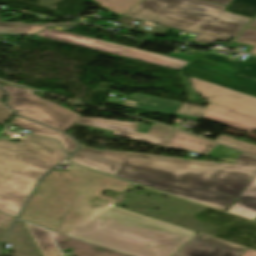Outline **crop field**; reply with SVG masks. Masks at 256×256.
<instances>
[{
    "mask_svg": "<svg viewBox=\"0 0 256 256\" xmlns=\"http://www.w3.org/2000/svg\"><path fill=\"white\" fill-rule=\"evenodd\" d=\"M14 219V217L0 213V229L8 231Z\"/></svg>",
    "mask_w": 256,
    "mask_h": 256,
    "instance_id": "crop-field-25",
    "label": "crop field"
},
{
    "mask_svg": "<svg viewBox=\"0 0 256 256\" xmlns=\"http://www.w3.org/2000/svg\"><path fill=\"white\" fill-rule=\"evenodd\" d=\"M180 72L256 97V79L237 75L256 78L255 57L240 62L204 53Z\"/></svg>",
    "mask_w": 256,
    "mask_h": 256,
    "instance_id": "crop-field-7",
    "label": "crop field"
},
{
    "mask_svg": "<svg viewBox=\"0 0 256 256\" xmlns=\"http://www.w3.org/2000/svg\"><path fill=\"white\" fill-rule=\"evenodd\" d=\"M239 154L240 152L219 145L209 154V156L221 159V155H224L236 159Z\"/></svg>",
    "mask_w": 256,
    "mask_h": 256,
    "instance_id": "crop-field-22",
    "label": "crop field"
},
{
    "mask_svg": "<svg viewBox=\"0 0 256 256\" xmlns=\"http://www.w3.org/2000/svg\"><path fill=\"white\" fill-rule=\"evenodd\" d=\"M225 8L201 0H144L125 15L196 33L194 40L212 44L235 37L252 19Z\"/></svg>",
    "mask_w": 256,
    "mask_h": 256,
    "instance_id": "crop-field-5",
    "label": "crop field"
},
{
    "mask_svg": "<svg viewBox=\"0 0 256 256\" xmlns=\"http://www.w3.org/2000/svg\"><path fill=\"white\" fill-rule=\"evenodd\" d=\"M131 185L77 166L67 172L53 170L41 180L19 218L68 235L115 201L99 195L102 191L125 192Z\"/></svg>",
    "mask_w": 256,
    "mask_h": 256,
    "instance_id": "crop-field-2",
    "label": "crop field"
},
{
    "mask_svg": "<svg viewBox=\"0 0 256 256\" xmlns=\"http://www.w3.org/2000/svg\"><path fill=\"white\" fill-rule=\"evenodd\" d=\"M35 36L64 41V42H68V43H72V44H77V45L101 50L104 52L120 55L123 57L169 67V68L176 69V70L180 69L186 63H188L187 61L166 57L163 55H157V54H153V53H149V52H145V51H141V50L126 48V47H120V49L117 50V49H114V48H111V47H108L105 45L86 41L79 37L70 36L63 32L54 30V29H49V30L42 32L40 34H37Z\"/></svg>",
    "mask_w": 256,
    "mask_h": 256,
    "instance_id": "crop-field-9",
    "label": "crop field"
},
{
    "mask_svg": "<svg viewBox=\"0 0 256 256\" xmlns=\"http://www.w3.org/2000/svg\"><path fill=\"white\" fill-rule=\"evenodd\" d=\"M44 256H60L48 232L40 227L27 224Z\"/></svg>",
    "mask_w": 256,
    "mask_h": 256,
    "instance_id": "crop-field-14",
    "label": "crop field"
},
{
    "mask_svg": "<svg viewBox=\"0 0 256 256\" xmlns=\"http://www.w3.org/2000/svg\"><path fill=\"white\" fill-rule=\"evenodd\" d=\"M228 212L256 220V202L238 199Z\"/></svg>",
    "mask_w": 256,
    "mask_h": 256,
    "instance_id": "crop-field-17",
    "label": "crop field"
},
{
    "mask_svg": "<svg viewBox=\"0 0 256 256\" xmlns=\"http://www.w3.org/2000/svg\"><path fill=\"white\" fill-rule=\"evenodd\" d=\"M67 34H69V33H67ZM70 35H73V34H70ZM75 36H77V35H75ZM79 37H81V36H79ZM81 38H84V39L90 40V41H94V42H98V43H101V44H105V45H108V46H111V47H114V48H117V49H119V47H120V46H117V45H113V44H109V43H105V42H101V41H97V40H93V39H89V38H85V37H81Z\"/></svg>",
    "mask_w": 256,
    "mask_h": 256,
    "instance_id": "crop-field-28",
    "label": "crop field"
},
{
    "mask_svg": "<svg viewBox=\"0 0 256 256\" xmlns=\"http://www.w3.org/2000/svg\"><path fill=\"white\" fill-rule=\"evenodd\" d=\"M194 88L205 96L211 105L204 119L247 132L256 131V98L194 77Z\"/></svg>",
    "mask_w": 256,
    "mask_h": 256,
    "instance_id": "crop-field-6",
    "label": "crop field"
},
{
    "mask_svg": "<svg viewBox=\"0 0 256 256\" xmlns=\"http://www.w3.org/2000/svg\"><path fill=\"white\" fill-rule=\"evenodd\" d=\"M11 123L32 131L31 134L33 135L47 136L58 139L68 154L73 152L77 147V143L70 137L21 117L16 116Z\"/></svg>",
    "mask_w": 256,
    "mask_h": 256,
    "instance_id": "crop-field-13",
    "label": "crop field"
},
{
    "mask_svg": "<svg viewBox=\"0 0 256 256\" xmlns=\"http://www.w3.org/2000/svg\"><path fill=\"white\" fill-rule=\"evenodd\" d=\"M235 42L255 46L250 53L256 54V29L246 28Z\"/></svg>",
    "mask_w": 256,
    "mask_h": 256,
    "instance_id": "crop-field-20",
    "label": "crop field"
},
{
    "mask_svg": "<svg viewBox=\"0 0 256 256\" xmlns=\"http://www.w3.org/2000/svg\"><path fill=\"white\" fill-rule=\"evenodd\" d=\"M174 131V129L164 127L159 124H153V126L148 131V134L156 135L159 137L167 138L169 139L171 133Z\"/></svg>",
    "mask_w": 256,
    "mask_h": 256,
    "instance_id": "crop-field-23",
    "label": "crop field"
},
{
    "mask_svg": "<svg viewBox=\"0 0 256 256\" xmlns=\"http://www.w3.org/2000/svg\"><path fill=\"white\" fill-rule=\"evenodd\" d=\"M49 25L50 24H25L23 22L2 23L0 21V32L32 34L46 28Z\"/></svg>",
    "mask_w": 256,
    "mask_h": 256,
    "instance_id": "crop-field-15",
    "label": "crop field"
},
{
    "mask_svg": "<svg viewBox=\"0 0 256 256\" xmlns=\"http://www.w3.org/2000/svg\"><path fill=\"white\" fill-rule=\"evenodd\" d=\"M226 10L254 18L256 16V0H233Z\"/></svg>",
    "mask_w": 256,
    "mask_h": 256,
    "instance_id": "crop-field-18",
    "label": "crop field"
},
{
    "mask_svg": "<svg viewBox=\"0 0 256 256\" xmlns=\"http://www.w3.org/2000/svg\"><path fill=\"white\" fill-rule=\"evenodd\" d=\"M216 143L175 130L164 147L206 154Z\"/></svg>",
    "mask_w": 256,
    "mask_h": 256,
    "instance_id": "crop-field-12",
    "label": "crop field"
},
{
    "mask_svg": "<svg viewBox=\"0 0 256 256\" xmlns=\"http://www.w3.org/2000/svg\"><path fill=\"white\" fill-rule=\"evenodd\" d=\"M196 234L111 205L69 236L133 256H172Z\"/></svg>",
    "mask_w": 256,
    "mask_h": 256,
    "instance_id": "crop-field-3",
    "label": "crop field"
},
{
    "mask_svg": "<svg viewBox=\"0 0 256 256\" xmlns=\"http://www.w3.org/2000/svg\"><path fill=\"white\" fill-rule=\"evenodd\" d=\"M240 198L256 201V179L251 183Z\"/></svg>",
    "mask_w": 256,
    "mask_h": 256,
    "instance_id": "crop-field-24",
    "label": "crop field"
},
{
    "mask_svg": "<svg viewBox=\"0 0 256 256\" xmlns=\"http://www.w3.org/2000/svg\"><path fill=\"white\" fill-rule=\"evenodd\" d=\"M11 95L9 105L20 115L63 132L69 130L80 118V115L59 105L48 102L34 94L33 91L4 86Z\"/></svg>",
    "mask_w": 256,
    "mask_h": 256,
    "instance_id": "crop-field-8",
    "label": "crop field"
},
{
    "mask_svg": "<svg viewBox=\"0 0 256 256\" xmlns=\"http://www.w3.org/2000/svg\"><path fill=\"white\" fill-rule=\"evenodd\" d=\"M206 108L195 106V105H189V104H183L176 113L188 115V116H198L201 117V115L204 113Z\"/></svg>",
    "mask_w": 256,
    "mask_h": 256,
    "instance_id": "crop-field-21",
    "label": "crop field"
},
{
    "mask_svg": "<svg viewBox=\"0 0 256 256\" xmlns=\"http://www.w3.org/2000/svg\"><path fill=\"white\" fill-rule=\"evenodd\" d=\"M68 161L225 211L256 177V157L232 165L81 146Z\"/></svg>",
    "mask_w": 256,
    "mask_h": 256,
    "instance_id": "crop-field-1",
    "label": "crop field"
},
{
    "mask_svg": "<svg viewBox=\"0 0 256 256\" xmlns=\"http://www.w3.org/2000/svg\"><path fill=\"white\" fill-rule=\"evenodd\" d=\"M248 27H254V28H256V20H255L253 23H251Z\"/></svg>",
    "mask_w": 256,
    "mask_h": 256,
    "instance_id": "crop-field-30",
    "label": "crop field"
},
{
    "mask_svg": "<svg viewBox=\"0 0 256 256\" xmlns=\"http://www.w3.org/2000/svg\"><path fill=\"white\" fill-rule=\"evenodd\" d=\"M216 141H218L222 144H225V145H228V146H231V147H234V148H237V149H240V150H243V151H246L248 153L256 155V146L249 145V144H246V143H242L238 140L231 139V138H229L227 136H224V135L220 136L218 139H216Z\"/></svg>",
    "mask_w": 256,
    "mask_h": 256,
    "instance_id": "crop-field-19",
    "label": "crop field"
},
{
    "mask_svg": "<svg viewBox=\"0 0 256 256\" xmlns=\"http://www.w3.org/2000/svg\"><path fill=\"white\" fill-rule=\"evenodd\" d=\"M77 123L95 126V127L113 129V130H116L114 132V135H118L121 137L133 139V140L148 142L152 144H157L161 146H163L164 143L167 141V139L136 132L137 130L136 123L111 121V120H105L101 118L92 119V118H86V117L80 118Z\"/></svg>",
    "mask_w": 256,
    "mask_h": 256,
    "instance_id": "crop-field-11",
    "label": "crop field"
},
{
    "mask_svg": "<svg viewBox=\"0 0 256 256\" xmlns=\"http://www.w3.org/2000/svg\"><path fill=\"white\" fill-rule=\"evenodd\" d=\"M203 52H197L196 55L194 56H185V55H180V54H170L169 56L171 57H176V58H180V59H184V60H188V61H192L195 58H197L199 55H201Z\"/></svg>",
    "mask_w": 256,
    "mask_h": 256,
    "instance_id": "crop-field-26",
    "label": "crop field"
},
{
    "mask_svg": "<svg viewBox=\"0 0 256 256\" xmlns=\"http://www.w3.org/2000/svg\"><path fill=\"white\" fill-rule=\"evenodd\" d=\"M241 256H256V250L247 248Z\"/></svg>",
    "mask_w": 256,
    "mask_h": 256,
    "instance_id": "crop-field-29",
    "label": "crop field"
},
{
    "mask_svg": "<svg viewBox=\"0 0 256 256\" xmlns=\"http://www.w3.org/2000/svg\"><path fill=\"white\" fill-rule=\"evenodd\" d=\"M205 1H209V2H213V3L228 6L231 3L232 0H205Z\"/></svg>",
    "mask_w": 256,
    "mask_h": 256,
    "instance_id": "crop-field-27",
    "label": "crop field"
},
{
    "mask_svg": "<svg viewBox=\"0 0 256 256\" xmlns=\"http://www.w3.org/2000/svg\"><path fill=\"white\" fill-rule=\"evenodd\" d=\"M100 6L121 16L138 5L143 0H95Z\"/></svg>",
    "mask_w": 256,
    "mask_h": 256,
    "instance_id": "crop-field-16",
    "label": "crop field"
},
{
    "mask_svg": "<svg viewBox=\"0 0 256 256\" xmlns=\"http://www.w3.org/2000/svg\"><path fill=\"white\" fill-rule=\"evenodd\" d=\"M4 96L0 90V99ZM13 115L0 100V123ZM65 158L56 141L27 136L0 140V212L16 217L37 180Z\"/></svg>",
    "mask_w": 256,
    "mask_h": 256,
    "instance_id": "crop-field-4",
    "label": "crop field"
},
{
    "mask_svg": "<svg viewBox=\"0 0 256 256\" xmlns=\"http://www.w3.org/2000/svg\"><path fill=\"white\" fill-rule=\"evenodd\" d=\"M245 249L246 247L200 233L174 256H240Z\"/></svg>",
    "mask_w": 256,
    "mask_h": 256,
    "instance_id": "crop-field-10",
    "label": "crop field"
}]
</instances>
